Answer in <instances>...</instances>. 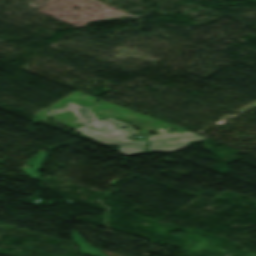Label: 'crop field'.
I'll return each instance as SVG.
<instances>
[{
	"instance_id": "412701ff",
	"label": "crop field",
	"mask_w": 256,
	"mask_h": 256,
	"mask_svg": "<svg viewBox=\"0 0 256 256\" xmlns=\"http://www.w3.org/2000/svg\"><path fill=\"white\" fill-rule=\"evenodd\" d=\"M40 157H37L36 161L34 162L32 169H30L29 167H27L26 165L24 167H26V169L21 168L22 171H24L26 174H28L30 177L35 178L36 174L34 171L37 168V166L39 165L40 161L42 160V158L44 157L45 154L40 153L39 154ZM37 179V178H35Z\"/></svg>"
},
{
	"instance_id": "ac0d7876",
	"label": "crop field",
	"mask_w": 256,
	"mask_h": 256,
	"mask_svg": "<svg viewBox=\"0 0 256 256\" xmlns=\"http://www.w3.org/2000/svg\"><path fill=\"white\" fill-rule=\"evenodd\" d=\"M158 132L156 136H148L149 151L175 152L188 147L190 141L200 142L205 139L190 132L170 134L162 129H159ZM149 141L152 142L149 143ZM160 141H163L165 144H159Z\"/></svg>"
},
{
	"instance_id": "8a807250",
	"label": "crop field",
	"mask_w": 256,
	"mask_h": 256,
	"mask_svg": "<svg viewBox=\"0 0 256 256\" xmlns=\"http://www.w3.org/2000/svg\"><path fill=\"white\" fill-rule=\"evenodd\" d=\"M71 110L78 118L76 123H81L84 126L76 128L74 130L102 143L112 144L120 146V152L123 154H143L145 141H134L126 139L131 134L137 132L132 126L123 122L117 121L113 118L97 120L95 116L90 112L87 107L75 105L71 102L67 103V106L60 109H53L45 114L51 115L63 111ZM87 122H92L88 124ZM122 125H127L128 129H122ZM94 126L95 129L99 128V131L90 129Z\"/></svg>"
},
{
	"instance_id": "34b2d1b8",
	"label": "crop field",
	"mask_w": 256,
	"mask_h": 256,
	"mask_svg": "<svg viewBox=\"0 0 256 256\" xmlns=\"http://www.w3.org/2000/svg\"><path fill=\"white\" fill-rule=\"evenodd\" d=\"M73 239L75 243L80 247L81 251L85 254L96 255V256H105L97 249L88 245L78 234L73 231Z\"/></svg>"
}]
</instances>
